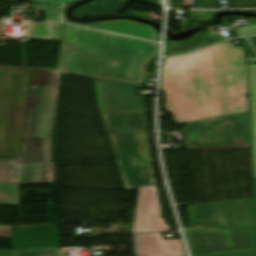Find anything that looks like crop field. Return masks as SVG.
Listing matches in <instances>:
<instances>
[{"mask_svg":"<svg viewBox=\"0 0 256 256\" xmlns=\"http://www.w3.org/2000/svg\"><path fill=\"white\" fill-rule=\"evenodd\" d=\"M244 53L226 42L165 58L161 88L177 124L249 110Z\"/></svg>","mask_w":256,"mask_h":256,"instance_id":"8a807250","label":"crop field"},{"mask_svg":"<svg viewBox=\"0 0 256 256\" xmlns=\"http://www.w3.org/2000/svg\"><path fill=\"white\" fill-rule=\"evenodd\" d=\"M157 44L66 25L58 73L142 84Z\"/></svg>","mask_w":256,"mask_h":256,"instance_id":"ac0d7876","label":"crop field"},{"mask_svg":"<svg viewBox=\"0 0 256 256\" xmlns=\"http://www.w3.org/2000/svg\"><path fill=\"white\" fill-rule=\"evenodd\" d=\"M30 86L24 134L18 164L41 163L44 139L33 138L40 86L59 87L57 70L0 66V160L16 161L24 121L30 73Z\"/></svg>","mask_w":256,"mask_h":256,"instance_id":"34b2d1b8","label":"crop field"},{"mask_svg":"<svg viewBox=\"0 0 256 256\" xmlns=\"http://www.w3.org/2000/svg\"><path fill=\"white\" fill-rule=\"evenodd\" d=\"M190 150L251 149L247 111L187 124Z\"/></svg>","mask_w":256,"mask_h":256,"instance_id":"412701ff","label":"crop field"},{"mask_svg":"<svg viewBox=\"0 0 256 256\" xmlns=\"http://www.w3.org/2000/svg\"><path fill=\"white\" fill-rule=\"evenodd\" d=\"M127 190H138L142 160L137 133L146 132L144 112L106 113Z\"/></svg>","mask_w":256,"mask_h":256,"instance_id":"f4fd0767","label":"crop field"},{"mask_svg":"<svg viewBox=\"0 0 256 256\" xmlns=\"http://www.w3.org/2000/svg\"><path fill=\"white\" fill-rule=\"evenodd\" d=\"M191 224L256 227L253 199L189 206Z\"/></svg>","mask_w":256,"mask_h":256,"instance_id":"dd49c442","label":"crop field"},{"mask_svg":"<svg viewBox=\"0 0 256 256\" xmlns=\"http://www.w3.org/2000/svg\"><path fill=\"white\" fill-rule=\"evenodd\" d=\"M194 255L256 250L252 230L185 231Z\"/></svg>","mask_w":256,"mask_h":256,"instance_id":"e52e79f7","label":"crop field"},{"mask_svg":"<svg viewBox=\"0 0 256 256\" xmlns=\"http://www.w3.org/2000/svg\"><path fill=\"white\" fill-rule=\"evenodd\" d=\"M137 86L95 80L99 112L106 127L105 112L145 111L144 99L137 98ZM109 136L114 147L113 137Z\"/></svg>","mask_w":256,"mask_h":256,"instance_id":"d8731c3e","label":"crop field"},{"mask_svg":"<svg viewBox=\"0 0 256 256\" xmlns=\"http://www.w3.org/2000/svg\"><path fill=\"white\" fill-rule=\"evenodd\" d=\"M65 8L66 7L34 5L33 12H46V21L66 22L69 24L80 25L92 29L116 32L144 39L157 40L156 30L147 25L131 22L128 20L106 21L97 25H83L69 22L64 18ZM58 12H61V14Z\"/></svg>","mask_w":256,"mask_h":256,"instance_id":"5a996713","label":"crop field"},{"mask_svg":"<svg viewBox=\"0 0 256 256\" xmlns=\"http://www.w3.org/2000/svg\"><path fill=\"white\" fill-rule=\"evenodd\" d=\"M139 200L132 233L169 231L161 219V207L156 187H139Z\"/></svg>","mask_w":256,"mask_h":256,"instance_id":"3316defc","label":"crop field"},{"mask_svg":"<svg viewBox=\"0 0 256 256\" xmlns=\"http://www.w3.org/2000/svg\"><path fill=\"white\" fill-rule=\"evenodd\" d=\"M59 88L41 87L34 137L45 138L42 163L51 162L52 129Z\"/></svg>","mask_w":256,"mask_h":256,"instance_id":"28ad6ade","label":"crop field"},{"mask_svg":"<svg viewBox=\"0 0 256 256\" xmlns=\"http://www.w3.org/2000/svg\"><path fill=\"white\" fill-rule=\"evenodd\" d=\"M132 237L136 256H185L180 239L164 240L161 234Z\"/></svg>","mask_w":256,"mask_h":256,"instance_id":"d1516ede","label":"crop field"},{"mask_svg":"<svg viewBox=\"0 0 256 256\" xmlns=\"http://www.w3.org/2000/svg\"><path fill=\"white\" fill-rule=\"evenodd\" d=\"M130 0H99L79 7L74 11L77 18L117 15ZM159 6V0H137ZM160 7V6H159Z\"/></svg>","mask_w":256,"mask_h":256,"instance_id":"22f410ed","label":"crop field"},{"mask_svg":"<svg viewBox=\"0 0 256 256\" xmlns=\"http://www.w3.org/2000/svg\"><path fill=\"white\" fill-rule=\"evenodd\" d=\"M55 163L18 165L20 185L54 183Z\"/></svg>","mask_w":256,"mask_h":256,"instance_id":"cbeb9de0","label":"crop field"},{"mask_svg":"<svg viewBox=\"0 0 256 256\" xmlns=\"http://www.w3.org/2000/svg\"><path fill=\"white\" fill-rule=\"evenodd\" d=\"M254 178H256V64L247 65Z\"/></svg>","mask_w":256,"mask_h":256,"instance_id":"5142ce71","label":"crop field"},{"mask_svg":"<svg viewBox=\"0 0 256 256\" xmlns=\"http://www.w3.org/2000/svg\"><path fill=\"white\" fill-rule=\"evenodd\" d=\"M63 26L53 23H27L29 38L60 40Z\"/></svg>","mask_w":256,"mask_h":256,"instance_id":"d9b57169","label":"crop field"},{"mask_svg":"<svg viewBox=\"0 0 256 256\" xmlns=\"http://www.w3.org/2000/svg\"><path fill=\"white\" fill-rule=\"evenodd\" d=\"M139 136V142H140V148H141V154H142V160H143V170H142V177H141V183L140 186H152L156 185L154 173L149 157V151H148V145L145 133L138 134Z\"/></svg>","mask_w":256,"mask_h":256,"instance_id":"733c2abd","label":"crop field"},{"mask_svg":"<svg viewBox=\"0 0 256 256\" xmlns=\"http://www.w3.org/2000/svg\"><path fill=\"white\" fill-rule=\"evenodd\" d=\"M219 0H198L196 9H218ZM232 8H256V0H233Z\"/></svg>","mask_w":256,"mask_h":256,"instance_id":"4a817a6b","label":"crop field"},{"mask_svg":"<svg viewBox=\"0 0 256 256\" xmlns=\"http://www.w3.org/2000/svg\"><path fill=\"white\" fill-rule=\"evenodd\" d=\"M0 203L18 204L17 184L0 183Z\"/></svg>","mask_w":256,"mask_h":256,"instance_id":"bc2a9ffb","label":"crop field"},{"mask_svg":"<svg viewBox=\"0 0 256 256\" xmlns=\"http://www.w3.org/2000/svg\"><path fill=\"white\" fill-rule=\"evenodd\" d=\"M14 166V169L11 168ZM16 162L0 161V181L14 182Z\"/></svg>","mask_w":256,"mask_h":256,"instance_id":"214f88e0","label":"crop field"},{"mask_svg":"<svg viewBox=\"0 0 256 256\" xmlns=\"http://www.w3.org/2000/svg\"><path fill=\"white\" fill-rule=\"evenodd\" d=\"M15 256H59L57 248L14 251Z\"/></svg>","mask_w":256,"mask_h":256,"instance_id":"92a150f3","label":"crop field"},{"mask_svg":"<svg viewBox=\"0 0 256 256\" xmlns=\"http://www.w3.org/2000/svg\"><path fill=\"white\" fill-rule=\"evenodd\" d=\"M214 12H206V11H196L193 17H190V21L192 22H201L211 19Z\"/></svg>","mask_w":256,"mask_h":256,"instance_id":"dafd665d","label":"crop field"},{"mask_svg":"<svg viewBox=\"0 0 256 256\" xmlns=\"http://www.w3.org/2000/svg\"><path fill=\"white\" fill-rule=\"evenodd\" d=\"M241 36L256 35V26L237 28Z\"/></svg>","mask_w":256,"mask_h":256,"instance_id":"00972430","label":"crop field"},{"mask_svg":"<svg viewBox=\"0 0 256 256\" xmlns=\"http://www.w3.org/2000/svg\"><path fill=\"white\" fill-rule=\"evenodd\" d=\"M36 3H44V4H67L79 0H32Z\"/></svg>","mask_w":256,"mask_h":256,"instance_id":"a9b5d70f","label":"crop field"},{"mask_svg":"<svg viewBox=\"0 0 256 256\" xmlns=\"http://www.w3.org/2000/svg\"><path fill=\"white\" fill-rule=\"evenodd\" d=\"M238 40L242 44V46L244 47L247 56L256 55V53L251 48V46L249 45V43L247 42V40L245 38H241V39H238Z\"/></svg>","mask_w":256,"mask_h":256,"instance_id":"4177f3b9","label":"crop field"},{"mask_svg":"<svg viewBox=\"0 0 256 256\" xmlns=\"http://www.w3.org/2000/svg\"><path fill=\"white\" fill-rule=\"evenodd\" d=\"M254 184H255V194H256V180H254ZM254 232H255V237H256V229H254ZM222 256H256V252L232 254V255H222Z\"/></svg>","mask_w":256,"mask_h":256,"instance_id":"730fd06b","label":"crop field"},{"mask_svg":"<svg viewBox=\"0 0 256 256\" xmlns=\"http://www.w3.org/2000/svg\"><path fill=\"white\" fill-rule=\"evenodd\" d=\"M0 237L11 238L10 228L0 227Z\"/></svg>","mask_w":256,"mask_h":256,"instance_id":"eef30255","label":"crop field"},{"mask_svg":"<svg viewBox=\"0 0 256 256\" xmlns=\"http://www.w3.org/2000/svg\"><path fill=\"white\" fill-rule=\"evenodd\" d=\"M0 256H12L11 251L0 250Z\"/></svg>","mask_w":256,"mask_h":256,"instance_id":"ae1a2a85","label":"crop field"},{"mask_svg":"<svg viewBox=\"0 0 256 256\" xmlns=\"http://www.w3.org/2000/svg\"><path fill=\"white\" fill-rule=\"evenodd\" d=\"M171 8H176L179 5V0H170Z\"/></svg>","mask_w":256,"mask_h":256,"instance_id":"d3111659","label":"crop field"},{"mask_svg":"<svg viewBox=\"0 0 256 256\" xmlns=\"http://www.w3.org/2000/svg\"><path fill=\"white\" fill-rule=\"evenodd\" d=\"M250 39L253 42V44L255 45V47H256V38H250Z\"/></svg>","mask_w":256,"mask_h":256,"instance_id":"750c4746","label":"crop field"}]
</instances>
